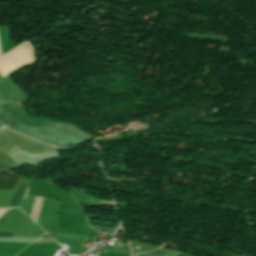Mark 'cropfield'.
Here are the masks:
<instances>
[{"label": "crop field", "mask_w": 256, "mask_h": 256, "mask_svg": "<svg viewBox=\"0 0 256 256\" xmlns=\"http://www.w3.org/2000/svg\"><path fill=\"white\" fill-rule=\"evenodd\" d=\"M8 127L15 129L28 136H31L33 138L44 141L46 143H50L58 146H75L74 144L78 145L86 141L87 139L92 138L91 135L85 133L79 128L66 123H57V124L50 125L48 127H41L39 129L58 135L74 144L58 136L39 130L37 128L25 129V128L12 127V126H8Z\"/></svg>", "instance_id": "obj_1"}, {"label": "crop field", "mask_w": 256, "mask_h": 256, "mask_svg": "<svg viewBox=\"0 0 256 256\" xmlns=\"http://www.w3.org/2000/svg\"><path fill=\"white\" fill-rule=\"evenodd\" d=\"M0 107L14 115L16 118L24 122L30 127H37V126H43L50 123H53L51 121L35 118L28 116V114L19 106L13 105V104H0ZM0 108V121L5 125H15V126H22V127H28L15 117H13L11 114L6 112Z\"/></svg>", "instance_id": "obj_2"}, {"label": "crop field", "mask_w": 256, "mask_h": 256, "mask_svg": "<svg viewBox=\"0 0 256 256\" xmlns=\"http://www.w3.org/2000/svg\"><path fill=\"white\" fill-rule=\"evenodd\" d=\"M19 176L11 175L4 170H0V189H13Z\"/></svg>", "instance_id": "obj_3"}, {"label": "crop field", "mask_w": 256, "mask_h": 256, "mask_svg": "<svg viewBox=\"0 0 256 256\" xmlns=\"http://www.w3.org/2000/svg\"><path fill=\"white\" fill-rule=\"evenodd\" d=\"M25 189L26 187L18 185L7 207H17L20 199H23L24 197ZM27 189H26V193H27ZM26 193H25V197H26Z\"/></svg>", "instance_id": "obj_4"}, {"label": "crop field", "mask_w": 256, "mask_h": 256, "mask_svg": "<svg viewBox=\"0 0 256 256\" xmlns=\"http://www.w3.org/2000/svg\"><path fill=\"white\" fill-rule=\"evenodd\" d=\"M87 222L91 226L102 227V228H107L112 230H114V227H115V224H111V223L98 222V221H93L88 219H87Z\"/></svg>", "instance_id": "obj_5"}, {"label": "crop field", "mask_w": 256, "mask_h": 256, "mask_svg": "<svg viewBox=\"0 0 256 256\" xmlns=\"http://www.w3.org/2000/svg\"><path fill=\"white\" fill-rule=\"evenodd\" d=\"M0 237H12L11 233H0Z\"/></svg>", "instance_id": "obj_6"}, {"label": "crop field", "mask_w": 256, "mask_h": 256, "mask_svg": "<svg viewBox=\"0 0 256 256\" xmlns=\"http://www.w3.org/2000/svg\"><path fill=\"white\" fill-rule=\"evenodd\" d=\"M92 228V227H91ZM93 229H96V230H101V231H106V232H110L112 233L113 231H110V230H104V229H98V228H93Z\"/></svg>", "instance_id": "obj_7"}, {"label": "crop field", "mask_w": 256, "mask_h": 256, "mask_svg": "<svg viewBox=\"0 0 256 256\" xmlns=\"http://www.w3.org/2000/svg\"><path fill=\"white\" fill-rule=\"evenodd\" d=\"M4 102V100L2 99V97L0 96V103Z\"/></svg>", "instance_id": "obj_8"}]
</instances>
